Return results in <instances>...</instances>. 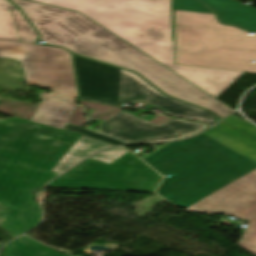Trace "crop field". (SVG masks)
I'll return each instance as SVG.
<instances>
[{
  "mask_svg": "<svg viewBox=\"0 0 256 256\" xmlns=\"http://www.w3.org/2000/svg\"><path fill=\"white\" fill-rule=\"evenodd\" d=\"M41 34L45 44L138 72L166 95L207 108L219 117L230 114L223 103L193 86L83 14L24 0H11ZM39 40V41H40Z\"/></svg>",
  "mask_w": 256,
  "mask_h": 256,
  "instance_id": "8a807250",
  "label": "crop field"
},
{
  "mask_svg": "<svg viewBox=\"0 0 256 256\" xmlns=\"http://www.w3.org/2000/svg\"><path fill=\"white\" fill-rule=\"evenodd\" d=\"M169 143L148 162L163 180L158 194L187 208L256 169V141L230 126Z\"/></svg>",
  "mask_w": 256,
  "mask_h": 256,
  "instance_id": "ac0d7876",
  "label": "crop field"
},
{
  "mask_svg": "<svg viewBox=\"0 0 256 256\" xmlns=\"http://www.w3.org/2000/svg\"><path fill=\"white\" fill-rule=\"evenodd\" d=\"M87 17L217 98L243 73L175 65L171 0H30Z\"/></svg>",
  "mask_w": 256,
  "mask_h": 256,
  "instance_id": "34b2d1b8",
  "label": "crop field"
},
{
  "mask_svg": "<svg viewBox=\"0 0 256 256\" xmlns=\"http://www.w3.org/2000/svg\"><path fill=\"white\" fill-rule=\"evenodd\" d=\"M82 137L18 118L0 120V184L35 189Z\"/></svg>",
  "mask_w": 256,
  "mask_h": 256,
  "instance_id": "412701ff",
  "label": "crop field"
},
{
  "mask_svg": "<svg viewBox=\"0 0 256 256\" xmlns=\"http://www.w3.org/2000/svg\"><path fill=\"white\" fill-rule=\"evenodd\" d=\"M176 64L256 73V36L213 14L174 10Z\"/></svg>",
  "mask_w": 256,
  "mask_h": 256,
  "instance_id": "f4fd0767",
  "label": "crop field"
},
{
  "mask_svg": "<svg viewBox=\"0 0 256 256\" xmlns=\"http://www.w3.org/2000/svg\"><path fill=\"white\" fill-rule=\"evenodd\" d=\"M0 57L20 61L28 84L52 90V94L38 92L42 102L31 121L64 129L78 106L70 53L59 47L0 41Z\"/></svg>",
  "mask_w": 256,
  "mask_h": 256,
  "instance_id": "dd49c442",
  "label": "crop field"
},
{
  "mask_svg": "<svg viewBox=\"0 0 256 256\" xmlns=\"http://www.w3.org/2000/svg\"><path fill=\"white\" fill-rule=\"evenodd\" d=\"M74 56L80 99L123 108L137 102L156 107L166 115L214 123L215 116L203 109L164 96L139 75L104 63Z\"/></svg>",
  "mask_w": 256,
  "mask_h": 256,
  "instance_id": "e52e79f7",
  "label": "crop field"
},
{
  "mask_svg": "<svg viewBox=\"0 0 256 256\" xmlns=\"http://www.w3.org/2000/svg\"><path fill=\"white\" fill-rule=\"evenodd\" d=\"M160 180V175L128 151L110 165L92 167L84 181L56 179L47 186L154 192Z\"/></svg>",
  "mask_w": 256,
  "mask_h": 256,
  "instance_id": "d8731c3e",
  "label": "crop field"
},
{
  "mask_svg": "<svg viewBox=\"0 0 256 256\" xmlns=\"http://www.w3.org/2000/svg\"><path fill=\"white\" fill-rule=\"evenodd\" d=\"M184 211L250 219L238 246L256 255V170Z\"/></svg>",
  "mask_w": 256,
  "mask_h": 256,
  "instance_id": "5a996713",
  "label": "crop field"
},
{
  "mask_svg": "<svg viewBox=\"0 0 256 256\" xmlns=\"http://www.w3.org/2000/svg\"><path fill=\"white\" fill-rule=\"evenodd\" d=\"M208 127L210 126L177 119L157 126L122 110L98 125L96 132L134 144L180 139Z\"/></svg>",
  "mask_w": 256,
  "mask_h": 256,
  "instance_id": "3316defc",
  "label": "crop field"
},
{
  "mask_svg": "<svg viewBox=\"0 0 256 256\" xmlns=\"http://www.w3.org/2000/svg\"><path fill=\"white\" fill-rule=\"evenodd\" d=\"M2 203L12 209L2 228L8 231L13 239L34 228L41 220V210L32 200L28 188L14 186L5 193Z\"/></svg>",
  "mask_w": 256,
  "mask_h": 256,
  "instance_id": "28ad6ade",
  "label": "crop field"
},
{
  "mask_svg": "<svg viewBox=\"0 0 256 256\" xmlns=\"http://www.w3.org/2000/svg\"><path fill=\"white\" fill-rule=\"evenodd\" d=\"M218 16L221 22L256 31V9L232 0H201Z\"/></svg>",
  "mask_w": 256,
  "mask_h": 256,
  "instance_id": "d1516ede",
  "label": "crop field"
},
{
  "mask_svg": "<svg viewBox=\"0 0 256 256\" xmlns=\"http://www.w3.org/2000/svg\"><path fill=\"white\" fill-rule=\"evenodd\" d=\"M113 147L112 145L104 142L82 137L78 143L69 151V153L62 159V161L53 170L57 173H61L70 166L74 165L81 159L105 148Z\"/></svg>",
  "mask_w": 256,
  "mask_h": 256,
  "instance_id": "22f410ed",
  "label": "crop field"
},
{
  "mask_svg": "<svg viewBox=\"0 0 256 256\" xmlns=\"http://www.w3.org/2000/svg\"><path fill=\"white\" fill-rule=\"evenodd\" d=\"M5 249L7 256H62L25 236L8 244Z\"/></svg>",
  "mask_w": 256,
  "mask_h": 256,
  "instance_id": "cbeb9de0",
  "label": "crop field"
},
{
  "mask_svg": "<svg viewBox=\"0 0 256 256\" xmlns=\"http://www.w3.org/2000/svg\"><path fill=\"white\" fill-rule=\"evenodd\" d=\"M15 7L7 0H0V40L19 41L9 10Z\"/></svg>",
  "mask_w": 256,
  "mask_h": 256,
  "instance_id": "5142ce71",
  "label": "crop field"
},
{
  "mask_svg": "<svg viewBox=\"0 0 256 256\" xmlns=\"http://www.w3.org/2000/svg\"><path fill=\"white\" fill-rule=\"evenodd\" d=\"M10 12L19 40L36 44L38 35L22 13L18 9Z\"/></svg>",
  "mask_w": 256,
  "mask_h": 256,
  "instance_id": "d9b57169",
  "label": "crop field"
},
{
  "mask_svg": "<svg viewBox=\"0 0 256 256\" xmlns=\"http://www.w3.org/2000/svg\"><path fill=\"white\" fill-rule=\"evenodd\" d=\"M101 164H104V163L88 159L85 162L78 165L77 167L70 170L69 172L65 173L61 177H59V179L83 180L85 174L89 171V169L92 166L101 165Z\"/></svg>",
  "mask_w": 256,
  "mask_h": 256,
  "instance_id": "733c2abd",
  "label": "crop field"
},
{
  "mask_svg": "<svg viewBox=\"0 0 256 256\" xmlns=\"http://www.w3.org/2000/svg\"><path fill=\"white\" fill-rule=\"evenodd\" d=\"M223 122L231 125L232 127L250 135L251 137L256 139V127L250 124L249 122L235 116V115H230L227 117Z\"/></svg>",
  "mask_w": 256,
  "mask_h": 256,
  "instance_id": "4a817a6b",
  "label": "crop field"
},
{
  "mask_svg": "<svg viewBox=\"0 0 256 256\" xmlns=\"http://www.w3.org/2000/svg\"><path fill=\"white\" fill-rule=\"evenodd\" d=\"M65 130H69V131H72V132H75V133L86 135V136H89V137H92V138H95V139H98V140H101V141H105V142H108V143H111V144H115V145H126V143H124L122 141L100 135L98 133L83 129L81 127H78V126H75V125H72V124H69V123L67 124Z\"/></svg>",
  "mask_w": 256,
  "mask_h": 256,
  "instance_id": "bc2a9ffb",
  "label": "crop field"
},
{
  "mask_svg": "<svg viewBox=\"0 0 256 256\" xmlns=\"http://www.w3.org/2000/svg\"><path fill=\"white\" fill-rule=\"evenodd\" d=\"M174 9L212 13L198 0H174Z\"/></svg>",
  "mask_w": 256,
  "mask_h": 256,
  "instance_id": "214f88e0",
  "label": "crop field"
},
{
  "mask_svg": "<svg viewBox=\"0 0 256 256\" xmlns=\"http://www.w3.org/2000/svg\"><path fill=\"white\" fill-rule=\"evenodd\" d=\"M127 150L116 148V149H110L106 150L104 152L98 153L91 157L90 159H94L97 161H101L104 163L110 164L114 160H116L118 157H120L122 154H124Z\"/></svg>",
  "mask_w": 256,
  "mask_h": 256,
  "instance_id": "92a150f3",
  "label": "crop field"
},
{
  "mask_svg": "<svg viewBox=\"0 0 256 256\" xmlns=\"http://www.w3.org/2000/svg\"><path fill=\"white\" fill-rule=\"evenodd\" d=\"M12 186L0 185V202L2 201L4 193L9 190Z\"/></svg>",
  "mask_w": 256,
  "mask_h": 256,
  "instance_id": "dafd665d",
  "label": "crop field"
},
{
  "mask_svg": "<svg viewBox=\"0 0 256 256\" xmlns=\"http://www.w3.org/2000/svg\"><path fill=\"white\" fill-rule=\"evenodd\" d=\"M153 158H155V157H153V156L150 155L149 157H147V158H145V159H143V160L147 162V161H149V160H151V159H153Z\"/></svg>",
  "mask_w": 256,
  "mask_h": 256,
  "instance_id": "00972430",
  "label": "crop field"
},
{
  "mask_svg": "<svg viewBox=\"0 0 256 256\" xmlns=\"http://www.w3.org/2000/svg\"><path fill=\"white\" fill-rule=\"evenodd\" d=\"M220 128H222V127L216 125L215 127L211 128V129H209V130L220 129ZM209 130H207V131H209Z\"/></svg>",
  "mask_w": 256,
  "mask_h": 256,
  "instance_id": "a9b5d70f",
  "label": "crop field"
}]
</instances>
